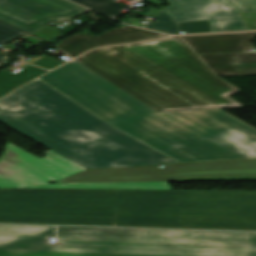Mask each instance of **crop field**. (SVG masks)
Returning <instances> with one entry per match:
<instances>
[{"mask_svg": "<svg viewBox=\"0 0 256 256\" xmlns=\"http://www.w3.org/2000/svg\"><path fill=\"white\" fill-rule=\"evenodd\" d=\"M0 222L256 231V191L0 189Z\"/></svg>", "mask_w": 256, "mask_h": 256, "instance_id": "crop-field-1", "label": "crop field"}, {"mask_svg": "<svg viewBox=\"0 0 256 256\" xmlns=\"http://www.w3.org/2000/svg\"><path fill=\"white\" fill-rule=\"evenodd\" d=\"M39 79L181 162L256 158V129L221 109L156 113L74 60Z\"/></svg>", "mask_w": 256, "mask_h": 256, "instance_id": "crop-field-2", "label": "crop field"}, {"mask_svg": "<svg viewBox=\"0 0 256 256\" xmlns=\"http://www.w3.org/2000/svg\"><path fill=\"white\" fill-rule=\"evenodd\" d=\"M0 122L87 169L178 162L38 79L0 100Z\"/></svg>", "mask_w": 256, "mask_h": 256, "instance_id": "crop-field-3", "label": "crop field"}, {"mask_svg": "<svg viewBox=\"0 0 256 256\" xmlns=\"http://www.w3.org/2000/svg\"><path fill=\"white\" fill-rule=\"evenodd\" d=\"M75 60L156 112L241 106L228 97L239 90L179 37L95 49Z\"/></svg>", "mask_w": 256, "mask_h": 256, "instance_id": "crop-field-4", "label": "crop field"}, {"mask_svg": "<svg viewBox=\"0 0 256 256\" xmlns=\"http://www.w3.org/2000/svg\"><path fill=\"white\" fill-rule=\"evenodd\" d=\"M0 225V256H242L246 233Z\"/></svg>", "mask_w": 256, "mask_h": 256, "instance_id": "crop-field-5", "label": "crop field"}, {"mask_svg": "<svg viewBox=\"0 0 256 256\" xmlns=\"http://www.w3.org/2000/svg\"><path fill=\"white\" fill-rule=\"evenodd\" d=\"M38 158L10 143L0 158V188L172 189L169 182L50 184L86 169L48 150Z\"/></svg>", "mask_w": 256, "mask_h": 256, "instance_id": "crop-field-6", "label": "crop field"}, {"mask_svg": "<svg viewBox=\"0 0 256 256\" xmlns=\"http://www.w3.org/2000/svg\"><path fill=\"white\" fill-rule=\"evenodd\" d=\"M86 170L55 183L256 180V159Z\"/></svg>", "mask_w": 256, "mask_h": 256, "instance_id": "crop-field-7", "label": "crop field"}, {"mask_svg": "<svg viewBox=\"0 0 256 256\" xmlns=\"http://www.w3.org/2000/svg\"><path fill=\"white\" fill-rule=\"evenodd\" d=\"M87 11L65 0H0V20L29 33L49 21L72 19Z\"/></svg>", "mask_w": 256, "mask_h": 256, "instance_id": "crop-field-8", "label": "crop field"}, {"mask_svg": "<svg viewBox=\"0 0 256 256\" xmlns=\"http://www.w3.org/2000/svg\"><path fill=\"white\" fill-rule=\"evenodd\" d=\"M176 22L209 19L213 32L247 30L238 10L225 0H168Z\"/></svg>", "mask_w": 256, "mask_h": 256, "instance_id": "crop-field-9", "label": "crop field"}, {"mask_svg": "<svg viewBox=\"0 0 256 256\" xmlns=\"http://www.w3.org/2000/svg\"><path fill=\"white\" fill-rule=\"evenodd\" d=\"M161 37H166V35L125 26L96 37L74 34L58 43L56 47L71 57H76L77 55L95 47L137 42Z\"/></svg>", "mask_w": 256, "mask_h": 256, "instance_id": "crop-field-10", "label": "crop field"}, {"mask_svg": "<svg viewBox=\"0 0 256 256\" xmlns=\"http://www.w3.org/2000/svg\"><path fill=\"white\" fill-rule=\"evenodd\" d=\"M254 33L215 34L181 37L196 53H228L253 49Z\"/></svg>", "mask_w": 256, "mask_h": 256, "instance_id": "crop-field-11", "label": "crop field"}, {"mask_svg": "<svg viewBox=\"0 0 256 256\" xmlns=\"http://www.w3.org/2000/svg\"><path fill=\"white\" fill-rule=\"evenodd\" d=\"M198 56L216 75L256 74V53Z\"/></svg>", "mask_w": 256, "mask_h": 256, "instance_id": "crop-field-12", "label": "crop field"}, {"mask_svg": "<svg viewBox=\"0 0 256 256\" xmlns=\"http://www.w3.org/2000/svg\"><path fill=\"white\" fill-rule=\"evenodd\" d=\"M47 71L36 68L34 66H27L25 69L14 75L9 72L0 71V97L7 94L16 87L46 73Z\"/></svg>", "mask_w": 256, "mask_h": 256, "instance_id": "crop-field-13", "label": "crop field"}, {"mask_svg": "<svg viewBox=\"0 0 256 256\" xmlns=\"http://www.w3.org/2000/svg\"><path fill=\"white\" fill-rule=\"evenodd\" d=\"M76 3L84 5L88 8L96 10L100 13H103L109 17H115L122 12H120L119 8L124 6L119 3L112 2V0H72ZM153 4L161 3L158 0H147Z\"/></svg>", "mask_w": 256, "mask_h": 256, "instance_id": "crop-field-14", "label": "crop field"}, {"mask_svg": "<svg viewBox=\"0 0 256 256\" xmlns=\"http://www.w3.org/2000/svg\"><path fill=\"white\" fill-rule=\"evenodd\" d=\"M148 17L155 18L153 23L148 22L145 28L169 34H177V25L163 10L151 8Z\"/></svg>", "mask_w": 256, "mask_h": 256, "instance_id": "crop-field-15", "label": "crop field"}, {"mask_svg": "<svg viewBox=\"0 0 256 256\" xmlns=\"http://www.w3.org/2000/svg\"><path fill=\"white\" fill-rule=\"evenodd\" d=\"M6 23V22H5ZM3 22L0 21V44L3 45L6 42L17 38V37H21L24 36L26 34H29L25 31H22L20 29H17L13 26H10L8 24H5ZM8 57L6 56H2L0 55V65L4 62H6Z\"/></svg>", "mask_w": 256, "mask_h": 256, "instance_id": "crop-field-16", "label": "crop field"}, {"mask_svg": "<svg viewBox=\"0 0 256 256\" xmlns=\"http://www.w3.org/2000/svg\"><path fill=\"white\" fill-rule=\"evenodd\" d=\"M179 24V31H185L186 34L212 32L208 20L182 22Z\"/></svg>", "mask_w": 256, "mask_h": 256, "instance_id": "crop-field-17", "label": "crop field"}, {"mask_svg": "<svg viewBox=\"0 0 256 256\" xmlns=\"http://www.w3.org/2000/svg\"><path fill=\"white\" fill-rule=\"evenodd\" d=\"M242 12H256V0H228Z\"/></svg>", "mask_w": 256, "mask_h": 256, "instance_id": "crop-field-18", "label": "crop field"}, {"mask_svg": "<svg viewBox=\"0 0 256 256\" xmlns=\"http://www.w3.org/2000/svg\"><path fill=\"white\" fill-rule=\"evenodd\" d=\"M243 256H256V233H247Z\"/></svg>", "mask_w": 256, "mask_h": 256, "instance_id": "crop-field-19", "label": "crop field"}, {"mask_svg": "<svg viewBox=\"0 0 256 256\" xmlns=\"http://www.w3.org/2000/svg\"><path fill=\"white\" fill-rule=\"evenodd\" d=\"M61 64L62 63L55 61L53 59H50L46 56L42 57L41 59H39L35 63H33V65H37V66L44 67L47 69H53Z\"/></svg>", "mask_w": 256, "mask_h": 256, "instance_id": "crop-field-20", "label": "crop field"}, {"mask_svg": "<svg viewBox=\"0 0 256 256\" xmlns=\"http://www.w3.org/2000/svg\"><path fill=\"white\" fill-rule=\"evenodd\" d=\"M60 32L61 31H59V30L49 26V27H47V28H45V29H43V30H41L39 32H36L34 34L39 35V36H41L43 38H46V39L50 40L53 37H55L56 35H58Z\"/></svg>", "mask_w": 256, "mask_h": 256, "instance_id": "crop-field-21", "label": "crop field"}, {"mask_svg": "<svg viewBox=\"0 0 256 256\" xmlns=\"http://www.w3.org/2000/svg\"><path fill=\"white\" fill-rule=\"evenodd\" d=\"M127 23H129V24H131V25L143 27V25H139V24H140V20L135 19V18L129 17Z\"/></svg>", "mask_w": 256, "mask_h": 256, "instance_id": "crop-field-22", "label": "crop field"}, {"mask_svg": "<svg viewBox=\"0 0 256 256\" xmlns=\"http://www.w3.org/2000/svg\"><path fill=\"white\" fill-rule=\"evenodd\" d=\"M23 39H25V40H27V41H29V42H32V43H34V44L41 43L40 41H39V42H36V39L31 38V37H26V38H23Z\"/></svg>", "mask_w": 256, "mask_h": 256, "instance_id": "crop-field-23", "label": "crop field"}]
</instances>
